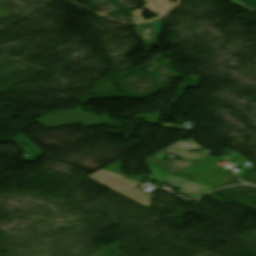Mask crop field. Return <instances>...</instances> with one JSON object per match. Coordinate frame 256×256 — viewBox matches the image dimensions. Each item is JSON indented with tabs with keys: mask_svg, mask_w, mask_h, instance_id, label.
<instances>
[{
	"mask_svg": "<svg viewBox=\"0 0 256 256\" xmlns=\"http://www.w3.org/2000/svg\"><path fill=\"white\" fill-rule=\"evenodd\" d=\"M180 141V140H179ZM178 142V141H177ZM190 150L198 151L196 146H194L191 142L180 141L154 155L144 160L145 163H148L156 168H159L163 171L169 172L171 174L193 164L194 162H186V161H176L173 164L168 163L166 161L161 160L165 154H174L179 155L180 159L187 160H197L204 155L208 154L205 151L191 153ZM174 167H176L174 169Z\"/></svg>",
	"mask_w": 256,
	"mask_h": 256,
	"instance_id": "ac0d7876",
	"label": "crop field"
},
{
	"mask_svg": "<svg viewBox=\"0 0 256 256\" xmlns=\"http://www.w3.org/2000/svg\"><path fill=\"white\" fill-rule=\"evenodd\" d=\"M145 165L149 167L148 169L151 170V174L148 176H145L143 178L150 179L153 181H159L161 178L170 175L169 173L163 172V171L156 169L152 166H149L147 164H145Z\"/></svg>",
	"mask_w": 256,
	"mask_h": 256,
	"instance_id": "d8731c3e",
	"label": "crop field"
},
{
	"mask_svg": "<svg viewBox=\"0 0 256 256\" xmlns=\"http://www.w3.org/2000/svg\"><path fill=\"white\" fill-rule=\"evenodd\" d=\"M158 183H161V184L166 183L168 185L176 187L180 190L175 192L190 199H196L199 196L213 190V189L174 177L173 175H170L168 177L161 179Z\"/></svg>",
	"mask_w": 256,
	"mask_h": 256,
	"instance_id": "f4fd0767",
	"label": "crop field"
},
{
	"mask_svg": "<svg viewBox=\"0 0 256 256\" xmlns=\"http://www.w3.org/2000/svg\"><path fill=\"white\" fill-rule=\"evenodd\" d=\"M226 158H228L230 161L234 162L237 167H241V169L239 170V172L236 173V174L238 175V177L241 176V175H243V174H245V173L243 172V170H254V169H256L255 166L250 167V168L244 166L243 164L248 163L249 161L246 160L244 157H242V156H241L240 154H238L237 152H236V153H233V154H231V155L226 156Z\"/></svg>",
	"mask_w": 256,
	"mask_h": 256,
	"instance_id": "e52e79f7",
	"label": "crop field"
},
{
	"mask_svg": "<svg viewBox=\"0 0 256 256\" xmlns=\"http://www.w3.org/2000/svg\"><path fill=\"white\" fill-rule=\"evenodd\" d=\"M104 116L95 117L93 114L84 113L81 107L77 108L74 111L62 112L55 115L47 116L39 121L38 123L48 127H61V126H70L83 124L85 128L118 123L110 121L106 112L103 113Z\"/></svg>",
	"mask_w": 256,
	"mask_h": 256,
	"instance_id": "412701ff",
	"label": "crop field"
},
{
	"mask_svg": "<svg viewBox=\"0 0 256 256\" xmlns=\"http://www.w3.org/2000/svg\"><path fill=\"white\" fill-rule=\"evenodd\" d=\"M224 160L225 159L221 157L215 158L207 156L174 175L216 189L236 179L232 173L214 164Z\"/></svg>",
	"mask_w": 256,
	"mask_h": 256,
	"instance_id": "8a807250",
	"label": "crop field"
},
{
	"mask_svg": "<svg viewBox=\"0 0 256 256\" xmlns=\"http://www.w3.org/2000/svg\"><path fill=\"white\" fill-rule=\"evenodd\" d=\"M160 114L154 113V114H148V115H141V116H135L133 117L135 120L146 118L144 121L156 124L158 123Z\"/></svg>",
	"mask_w": 256,
	"mask_h": 256,
	"instance_id": "3316defc",
	"label": "crop field"
},
{
	"mask_svg": "<svg viewBox=\"0 0 256 256\" xmlns=\"http://www.w3.org/2000/svg\"><path fill=\"white\" fill-rule=\"evenodd\" d=\"M88 178L150 209V200L154 196L135 188L137 182L103 170Z\"/></svg>",
	"mask_w": 256,
	"mask_h": 256,
	"instance_id": "34b2d1b8",
	"label": "crop field"
},
{
	"mask_svg": "<svg viewBox=\"0 0 256 256\" xmlns=\"http://www.w3.org/2000/svg\"><path fill=\"white\" fill-rule=\"evenodd\" d=\"M122 161L123 159L105 167L103 170H107V171H111V172H115V173H118L120 175H124L121 171V168H122Z\"/></svg>",
	"mask_w": 256,
	"mask_h": 256,
	"instance_id": "28ad6ade",
	"label": "crop field"
},
{
	"mask_svg": "<svg viewBox=\"0 0 256 256\" xmlns=\"http://www.w3.org/2000/svg\"><path fill=\"white\" fill-rule=\"evenodd\" d=\"M250 12H256V0H232Z\"/></svg>",
	"mask_w": 256,
	"mask_h": 256,
	"instance_id": "5a996713",
	"label": "crop field"
},
{
	"mask_svg": "<svg viewBox=\"0 0 256 256\" xmlns=\"http://www.w3.org/2000/svg\"><path fill=\"white\" fill-rule=\"evenodd\" d=\"M161 19L162 18L152 21L151 33H152V37L155 45L157 44L156 43L157 35L159 34L161 29ZM134 27H135L136 35H138L143 39L146 51H151L150 48L153 45H152V41L149 33L150 23L138 24V25H134Z\"/></svg>",
	"mask_w": 256,
	"mask_h": 256,
	"instance_id": "dd49c442",
	"label": "crop field"
},
{
	"mask_svg": "<svg viewBox=\"0 0 256 256\" xmlns=\"http://www.w3.org/2000/svg\"><path fill=\"white\" fill-rule=\"evenodd\" d=\"M176 196H178V195H176ZM178 197H180L181 199H183V201L185 202V203H187V202H192L191 200H188V199H186V198H183V197H181V196H178Z\"/></svg>",
	"mask_w": 256,
	"mask_h": 256,
	"instance_id": "d1516ede",
	"label": "crop field"
}]
</instances>
